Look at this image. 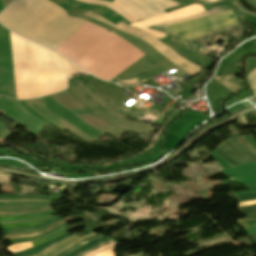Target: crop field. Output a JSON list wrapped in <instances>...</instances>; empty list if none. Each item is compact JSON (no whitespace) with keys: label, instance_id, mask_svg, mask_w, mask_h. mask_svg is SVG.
Segmentation results:
<instances>
[{"label":"crop field","instance_id":"bd1437ed","mask_svg":"<svg viewBox=\"0 0 256 256\" xmlns=\"http://www.w3.org/2000/svg\"><path fill=\"white\" fill-rule=\"evenodd\" d=\"M19 201H40V200H0V202H19ZM47 202V201H40Z\"/></svg>","mask_w":256,"mask_h":256},{"label":"crop field","instance_id":"5866460e","mask_svg":"<svg viewBox=\"0 0 256 256\" xmlns=\"http://www.w3.org/2000/svg\"><path fill=\"white\" fill-rule=\"evenodd\" d=\"M37 210H47V209H37ZM37 210H26V211H18V212L37 211ZM4 213H15V212H4ZM0 214H3V213H0Z\"/></svg>","mask_w":256,"mask_h":256},{"label":"crop field","instance_id":"d3111659","mask_svg":"<svg viewBox=\"0 0 256 256\" xmlns=\"http://www.w3.org/2000/svg\"><path fill=\"white\" fill-rule=\"evenodd\" d=\"M256 204V200L239 203L238 207Z\"/></svg>","mask_w":256,"mask_h":256},{"label":"crop field","instance_id":"00972430","mask_svg":"<svg viewBox=\"0 0 256 256\" xmlns=\"http://www.w3.org/2000/svg\"><path fill=\"white\" fill-rule=\"evenodd\" d=\"M114 242H115V241H114L113 239H111V240H109V241H107V242H104V243H101V244H99V245H97V246L91 247V248L85 250L84 252L78 254L77 256H85V255H87L88 253H90V252L96 250L97 248H99V247H101V246H103V245L110 244V243H114Z\"/></svg>","mask_w":256,"mask_h":256},{"label":"crop field","instance_id":"ae1a2a85","mask_svg":"<svg viewBox=\"0 0 256 256\" xmlns=\"http://www.w3.org/2000/svg\"><path fill=\"white\" fill-rule=\"evenodd\" d=\"M244 231L246 232L247 235L256 233V226L248 229H244Z\"/></svg>","mask_w":256,"mask_h":256},{"label":"crop field","instance_id":"cbeb9de0","mask_svg":"<svg viewBox=\"0 0 256 256\" xmlns=\"http://www.w3.org/2000/svg\"><path fill=\"white\" fill-rule=\"evenodd\" d=\"M91 235H95L94 232L92 233H89L87 235H84L80 238L72 235L50 247H48L47 249L33 255V256H55L56 254H58L59 252L63 251L64 249H66L67 247L71 246L72 244L88 237V236H91Z\"/></svg>","mask_w":256,"mask_h":256},{"label":"crop field","instance_id":"214f88e0","mask_svg":"<svg viewBox=\"0 0 256 256\" xmlns=\"http://www.w3.org/2000/svg\"><path fill=\"white\" fill-rule=\"evenodd\" d=\"M108 239H110V238L104 236V237H102V238H99V239H96V240H94V241H91V242L87 243L86 245H84V246H82V247H80V248L74 250V251H73L72 253H70L68 256H75V255H77L78 253L84 251L85 249H87V248H89V247H91V246H94V245H96V244H98V243H101V242H103V241H105V240H108Z\"/></svg>","mask_w":256,"mask_h":256},{"label":"crop field","instance_id":"bc2a9ffb","mask_svg":"<svg viewBox=\"0 0 256 256\" xmlns=\"http://www.w3.org/2000/svg\"><path fill=\"white\" fill-rule=\"evenodd\" d=\"M99 237H102V235H101V234H97V235H95V236L88 237V238H86V239H84V240H82V241H80V242H78V243L72 245L71 247L67 248L66 250H64L63 252H61L60 254H58L57 256H66V255H67L68 253H70L73 249H75V248H77V247H79V246H81V245H83V244H85V243H87V242H89V241H91V240H93V239L99 238Z\"/></svg>","mask_w":256,"mask_h":256},{"label":"crop field","instance_id":"730fd06b","mask_svg":"<svg viewBox=\"0 0 256 256\" xmlns=\"http://www.w3.org/2000/svg\"><path fill=\"white\" fill-rule=\"evenodd\" d=\"M112 250H115V247L112 248V249H109L107 251H104L102 253H99L96 256H114L113 253H112L113 252Z\"/></svg>","mask_w":256,"mask_h":256},{"label":"crop field","instance_id":"eef30255","mask_svg":"<svg viewBox=\"0 0 256 256\" xmlns=\"http://www.w3.org/2000/svg\"><path fill=\"white\" fill-rule=\"evenodd\" d=\"M121 83L122 84H132V85H138L139 84V82L136 79L121 81Z\"/></svg>","mask_w":256,"mask_h":256},{"label":"crop field","instance_id":"120bbe31","mask_svg":"<svg viewBox=\"0 0 256 256\" xmlns=\"http://www.w3.org/2000/svg\"><path fill=\"white\" fill-rule=\"evenodd\" d=\"M252 192H256V188L251 190H246V191L234 192V194L238 195V194H245V193H252Z\"/></svg>","mask_w":256,"mask_h":256},{"label":"crop field","instance_id":"f4fd0767","mask_svg":"<svg viewBox=\"0 0 256 256\" xmlns=\"http://www.w3.org/2000/svg\"><path fill=\"white\" fill-rule=\"evenodd\" d=\"M236 24L238 22L235 15L230 10H227L219 14L174 24L164 29L191 41L199 36Z\"/></svg>","mask_w":256,"mask_h":256},{"label":"crop field","instance_id":"22f410ed","mask_svg":"<svg viewBox=\"0 0 256 256\" xmlns=\"http://www.w3.org/2000/svg\"><path fill=\"white\" fill-rule=\"evenodd\" d=\"M214 152L225 160L231 167L252 161L250 158L236 150L228 140L222 142Z\"/></svg>","mask_w":256,"mask_h":256},{"label":"crop field","instance_id":"4a817a6b","mask_svg":"<svg viewBox=\"0 0 256 256\" xmlns=\"http://www.w3.org/2000/svg\"><path fill=\"white\" fill-rule=\"evenodd\" d=\"M216 12H217V10H216V8H214L212 10L207 11V14L209 15V14H213V13H216ZM202 16H206V13L204 12V13L197 14V15H194V16H191V17H188V18L179 19V20L167 22V23H164V24H160V25H157V26H154V27L162 28V27H165V26L177 23V22H181V21H185V20H191V19L202 17Z\"/></svg>","mask_w":256,"mask_h":256},{"label":"crop field","instance_id":"3316defc","mask_svg":"<svg viewBox=\"0 0 256 256\" xmlns=\"http://www.w3.org/2000/svg\"><path fill=\"white\" fill-rule=\"evenodd\" d=\"M52 3L62 7L70 14L73 12H84L86 10L92 11L104 19L116 24L118 22L124 23L128 25L129 22H127L125 19H123L121 16H119L117 13L111 11L110 9L106 7L101 6H94V5H87L80 2H76L73 0H49Z\"/></svg>","mask_w":256,"mask_h":256},{"label":"crop field","instance_id":"4177f3b9","mask_svg":"<svg viewBox=\"0 0 256 256\" xmlns=\"http://www.w3.org/2000/svg\"><path fill=\"white\" fill-rule=\"evenodd\" d=\"M238 209L244 215L251 214V213H256V205L248 206V207H242V208H238Z\"/></svg>","mask_w":256,"mask_h":256},{"label":"crop field","instance_id":"34b2d1b8","mask_svg":"<svg viewBox=\"0 0 256 256\" xmlns=\"http://www.w3.org/2000/svg\"><path fill=\"white\" fill-rule=\"evenodd\" d=\"M84 22L68 17L47 0H16L0 13V23L6 28L52 50Z\"/></svg>","mask_w":256,"mask_h":256},{"label":"crop field","instance_id":"733c2abd","mask_svg":"<svg viewBox=\"0 0 256 256\" xmlns=\"http://www.w3.org/2000/svg\"><path fill=\"white\" fill-rule=\"evenodd\" d=\"M65 223V221L61 220L59 222H56L44 229H41V230H38L36 232H32V233H24V234H16V235H9V236H5V239H13V238H23V237H31V236H34V235H38V234H41V233H44L50 229H53L61 224Z\"/></svg>","mask_w":256,"mask_h":256},{"label":"crop field","instance_id":"28ad6ade","mask_svg":"<svg viewBox=\"0 0 256 256\" xmlns=\"http://www.w3.org/2000/svg\"><path fill=\"white\" fill-rule=\"evenodd\" d=\"M27 104L33 108L34 110H36L40 115H42L43 117H45L46 119H48L49 121L53 122L54 124H56L59 128H61L62 130L64 129H68L70 130L72 133H74L76 136L82 138L83 140L87 141V142H91L94 141L93 139H91L90 137H88L87 135H85L84 133H82L81 131H79L78 129H76L74 126H72L71 124H69L68 122H66L65 120H63L61 117H59L57 114L53 113L52 111H50L46 106H44L38 99L35 100H26Z\"/></svg>","mask_w":256,"mask_h":256},{"label":"crop field","instance_id":"d1516ede","mask_svg":"<svg viewBox=\"0 0 256 256\" xmlns=\"http://www.w3.org/2000/svg\"><path fill=\"white\" fill-rule=\"evenodd\" d=\"M147 72L148 74L141 76ZM161 72H164V70L146 56L138 63L133 65L131 68H129L127 71H125L123 74L113 79L112 82L141 76L139 78H136L138 81H140Z\"/></svg>","mask_w":256,"mask_h":256},{"label":"crop field","instance_id":"e1f06a70","mask_svg":"<svg viewBox=\"0 0 256 256\" xmlns=\"http://www.w3.org/2000/svg\"><path fill=\"white\" fill-rule=\"evenodd\" d=\"M205 1H208V2H214V1H216V0H205Z\"/></svg>","mask_w":256,"mask_h":256},{"label":"crop field","instance_id":"d8731c3e","mask_svg":"<svg viewBox=\"0 0 256 256\" xmlns=\"http://www.w3.org/2000/svg\"><path fill=\"white\" fill-rule=\"evenodd\" d=\"M203 11L204 10L202 7H200L196 4H193L191 6L180 8V9L165 13L160 16L152 17L148 20L130 23L131 25H129V26L143 30V31L153 35L155 38L161 39V38H164L166 36V34L160 33V32L154 31V30H150L145 27L153 26L155 24L167 22V21L173 20V19H179V18L191 16V15L203 12Z\"/></svg>","mask_w":256,"mask_h":256},{"label":"crop field","instance_id":"028f5c9d","mask_svg":"<svg viewBox=\"0 0 256 256\" xmlns=\"http://www.w3.org/2000/svg\"><path fill=\"white\" fill-rule=\"evenodd\" d=\"M4 8H5V7H4L2 1H0V11L3 10Z\"/></svg>","mask_w":256,"mask_h":256},{"label":"crop field","instance_id":"ac0d7876","mask_svg":"<svg viewBox=\"0 0 256 256\" xmlns=\"http://www.w3.org/2000/svg\"><path fill=\"white\" fill-rule=\"evenodd\" d=\"M89 24L104 30L106 33H109L104 28L98 27L92 23ZM97 28H94L85 23L57 49L70 55L82 65H84L86 68L100 75L133 48L100 76L90 72L88 69H86L84 66H82L70 56L56 49L55 50L60 52L64 56L72 59L75 63L86 69L89 73L108 81L123 73L125 70H127L129 67H131L133 64H135L145 56L123 38L113 33H110L111 35L119 38L132 48L127 46L119 39L109 34H106L102 30Z\"/></svg>","mask_w":256,"mask_h":256},{"label":"crop field","instance_id":"dd49c442","mask_svg":"<svg viewBox=\"0 0 256 256\" xmlns=\"http://www.w3.org/2000/svg\"><path fill=\"white\" fill-rule=\"evenodd\" d=\"M92 18H95L101 22H104L114 28H117L125 33H128L130 35H133L139 39H141L142 41H144L145 43L153 46L157 51H159L165 58L169 59L171 62H173L175 65H177L178 67L184 69L185 71L191 73L192 75L199 72L202 68L194 65L193 63L187 61L186 59H184L183 57H181L180 55H178L175 51H173L171 48H169L167 45L163 44L162 42L158 41L157 39H155L154 37H152L151 35L142 32L140 30L134 29V28H130L126 25H123L121 23H118L116 25H113L109 22H107L106 20H104L103 18H101L100 16L92 13V12H87L84 13ZM190 74V75H191Z\"/></svg>","mask_w":256,"mask_h":256},{"label":"crop field","instance_id":"8a807250","mask_svg":"<svg viewBox=\"0 0 256 256\" xmlns=\"http://www.w3.org/2000/svg\"><path fill=\"white\" fill-rule=\"evenodd\" d=\"M17 99L64 90L67 79L86 73L66 58L10 32Z\"/></svg>","mask_w":256,"mask_h":256},{"label":"crop field","instance_id":"5a996713","mask_svg":"<svg viewBox=\"0 0 256 256\" xmlns=\"http://www.w3.org/2000/svg\"><path fill=\"white\" fill-rule=\"evenodd\" d=\"M74 15V14H72ZM76 16V15H75ZM78 17H81L85 20H88L98 26L105 27L109 30H111L113 33L123 37L125 40H127L129 43L134 45L136 48H138L140 51H142L144 54H146L151 60L155 61L157 64H159L165 71L177 68L173 63H171L169 60L165 59L160 53H158L153 47L145 44L141 40L132 37L128 34H125L117 29H114L110 26H107L95 19L89 18L87 16H84L82 14L78 15Z\"/></svg>","mask_w":256,"mask_h":256},{"label":"crop field","instance_id":"d9b57169","mask_svg":"<svg viewBox=\"0 0 256 256\" xmlns=\"http://www.w3.org/2000/svg\"><path fill=\"white\" fill-rule=\"evenodd\" d=\"M215 79L233 93H236L242 89L239 79H237L234 75L217 77Z\"/></svg>","mask_w":256,"mask_h":256},{"label":"crop field","instance_id":"5142ce71","mask_svg":"<svg viewBox=\"0 0 256 256\" xmlns=\"http://www.w3.org/2000/svg\"><path fill=\"white\" fill-rule=\"evenodd\" d=\"M229 141L235 148L256 161V149L251 146L243 137L229 139Z\"/></svg>","mask_w":256,"mask_h":256},{"label":"crop field","instance_id":"412701ff","mask_svg":"<svg viewBox=\"0 0 256 256\" xmlns=\"http://www.w3.org/2000/svg\"><path fill=\"white\" fill-rule=\"evenodd\" d=\"M77 1L106 6L129 22L164 13L162 10L178 5L171 0H113L112 3L100 0Z\"/></svg>","mask_w":256,"mask_h":256},{"label":"crop field","instance_id":"0bd39190","mask_svg":"<svg viewBox=\"0 0 256 256\" xmlns=\"http://www.w3.org/2000/svg\"><path fill=\"white\" fill-rule=\"evenodd\" d=\"M218 1H220V0H218Z\"/></svg>","mask_w":256,"mask_h":256},{"label":"crop field","instance_id":"750c4746","mask_svg":"<svg viewBox=\"0 0 256 256\" xmlns=\"http://www.w3.org/2000/svg\"><path fill=\"white\" fill-rule=\"evenodd\" d=\"M176 2H178L180 5L181 4H185V3H189V2H192V1H201V2H205L203 0H174Z\"/></svg>","mask_w":256,"mask_h":256},{"label":"crop field","instance_id":"e52e79f7","mask_svg":"<svg viewBox=\"0 0 256 256\" xmlns=\"http://www.w3.org/2000/svg\"><path fill=\"white\" fill-rule=\"evenodd\" d=\"M52 97L65 108L85 121L87 124L107 135L118 139L126 133L111 125L110 123L102 120L101 118L92 115L84 106L74 100L66 91L54 94Z\"/></svg>","mask_w":256,"mask_h":256},{"label":"crop field","instance_id":"dafd665d","mask_svg":"<svg viewBox=\"0 0 256 256\" xmlns=\"http://www.w3.org/2000/svg\"><path fill=\"white\" fill-rule=\"evenodd\" d=\"M247 81L253 90L254 96L256 97V70L247 76Z\"/></svg>","mask_w":256,"mask_h":256},{"label":"crop field","instance_id":"a9b5d70f","mask_svg":"<svg viewBox=\"0 0 256 256\" xmlns=\"http://www.w3.org/2000/svg\"><path fill=\"white\" fill-rule=\"evenodd\" d=\"M238 202L256 199V193L235 196Z\"/></svg>","mask_w":256,"mask_h":256},{"label":"crop field","instance_id":"d32e631a","mask_svg":"<svg viewBox=\"0 0 256 256\" xmlns=\"http://www.w3.org/2000/svg\"><path fill=\"white\" fill-rule=\"evenodd\" d=\"M256 244V234L248 236Z\"/></svg>","mask_w":256,"mask_h":256},{"label":"crop field","instance_id":"92a150f3","mask_svg":"<svg viewBox=\"0 0 256 256\" xmlns=\"http://www.w3.org/2000/svg\"><path fill=\"white\" fill-rule=\"evenodd\" d=\"M254 218H256V214L247 215L245 219L237 220V222L245 221V220H250V219H254ZM239 224H240L243 228L250 227V226H254V225H256V219L250 220V221H246V222H240Z\"/></svg>","mask_w":256,"mask_h":256},{"label":"crop field","instance_id":"1d83c4d3","mask_svg":"<svg viewBox=\"0 0 256 256\" xmlns=\"http://www.w3.org/2000/svg\"><path fill=\"white\" fill-rule=\"evenodd\" d=\"M237 101H239L237 98H233V99H231V100H229V101H226V102L224 103V106L227 107V106H229V105H231V104H233V103H235V102H237Z\"/></svg>","mask_w":256,"mask_h":256}]
</instances>
